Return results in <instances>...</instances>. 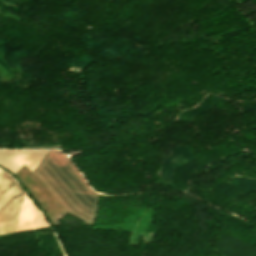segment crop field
Returning <instances> with one entry per match:
<instances>
[{"label": "crop field", "mask_w": 256, "mask_h": 256, "mask_svg": "<svg viewBox=\"0 0 256 256\" xmlns=\"http://www.w3.org/2000/svg\"><path fill=\"white\" fill-rule=\"evenodd\" d=\"M32 173L66 213L93 225L101 195L88 187L61 151L49 150Z\"/></svg>", "instance_id": "1"}, {"label": "crop field", "mask_w": 256, "mask_h": 256, "mask_svg": "<svg viewBox=\"0 0 256 256\" xmlns=\"http://www.w3.org/2000/svg\"><path fill=\"white\" fill-rule=\"evenodd\" d=\"M45 226L47 223L25 194L16 232Z\"/></svg>", "instance_id": "4"}, {"label": "crop field", "mask_w": 256, "mask_h": 256, "mask_svg": "<svg viewBox=\"0 0 256 256\" xmlns=\"http://www.w3.org/2000/svg\"><path fill=\"white\" fill-rule=\"evenodd\" d=\"M23 195L24 192L17 183L2 171L0 176V234L15 232Z\"/></svg>", "instance_id": "2"}, {"label": "crop field", "mask_w": 256, "mask_h": 256, "mask_svg": "<svg viewBox=\"0 0 256 256\" xmlns=\"http://www.w3.org/2000/svg\"><path fill=\"white\" fill-rule=\"evenodd\" d=\"M48 150H0V165L6 167L13 173L25 163L32 172Z\"/></svg>", "instance_id": "3"}]
</instances>
